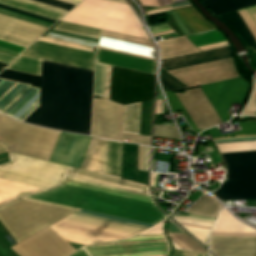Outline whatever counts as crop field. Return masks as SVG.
Segmentation results:
<instances>
[{"label":"crop field","mask_w":256,"mask_h":256,"mask_svg":"<svg viewBox=\"0 0 256 256\" xmlns=\"http://www.w3.org/2000/svg\"><path fill=\"white\" fill-rule=\"evenodd\" d=\"M93 72L42 61L39 107L24 122L89 135Z\"/></svg>","instance_id":"crop-field-1"},{"label":"crop field","mask_w":256,"mask_h":256,"mask_svg":"<svg viewBox=\"0 0 256 256\" xmlns=\"http://www.w3.org/2000/svg\"><path fill=\"white\" fill-rule=\"evenodd\" d=\"M27 197L152 225L167 217L153 204L65 185Z\"/></svg>","instance_id":"crop-field-2"},{"label":"crop field","mask_w":256,"mask_h":256,"mask_svg":"<svg viewBox=\"0 0 256 256\" xmlns=\"http://www.w3.org/2000/svg\"><path fill=\"white\" fill-rule=\"evenodd\" d=\"M152 225L80 210L50 226L65 241L87 245L132 237Z\"/></svg>","instance_id":"crop-field-3"},{"label":"crop field","mask_w":256,"mask_h":256,"mask_svg":"<svg viewBox=\"0 0 256 256\" xmlns=\"http://www.w3.org/2000/svg\"><path fill=\"white\" fill-rule=\"evenodd\" d=\"M77 210L22 197L0 207V221L18 243Z\"/></svg>","instance_id":"crop-field-4"},{"label":"crop field","mask_w":256,"mask_h":256,"mask_svg":"<svg viewBox=\"0 0 256 256\" xmlns=\"http://www.w3.org/2000/svg\"><path fill=\"white\" fill-rule=\"evenodd\" d=\"M61 21L148 40L142 25L125 4L84 0Z\"/></svg>","instance_id":"crop-field-5"},{"label":"crop field","mask_w":256,"mask_h":256,"mask_svg":"<svg viewBox=\"0 0 256 256\" xmlns=\"http://www.w3.org/2000/svg\"><path fill=\"white\" fill-rule=\"evenodd\" d=\"M231 46L191 54L162 61V69H172L201 62L232 56ZM188 87L219 80L236 78L237 72L231 58L201 63L197 65L167 70Z\"/></svg>","instance_id":"crop-field-6"},{"label":"crop field","mask_w":256,"mask_h":256,"mask_svg":"<svg viewBox=\"0 0 256 256\" xmlns=\"http://www.w3.org/2000/svg\"><path fill=\"white\" fill-rule=\"evenodd\" d=\"M52 30L58 31V32H63V33H68V34H73V35H77V36L97 39V40L100 39V36L103 32L101 30L77 26V25L68 24V23H64V22L59 23ZM52 32H49V34L72 38V39L90 42V43H94V44H97L96 42H98L97 40L83 38V39H87V40L96 41V42H92V41H87V40H83V39H78V38H82V37L74 38L77 36L70 37L73 35L65 36L68 34L61 35L63 33L56 34L58 32H56V33H52ZM49 34H46L45 36L54 38V39L67 41V42L76 43V44L86 45V46H90L93 48H95V46H96L94 44L71 40V39L53 36V35H49ZM96 48L156 61V54H155L153 44H151L150 41L143 40V39L133 38V37H129V36H124V35H119V34L104 31Z\"/></svg>","instance_id":"crop-field-7"},{"label":"crop field","mask_w":256,"mask_h":256,"mask_svg":"<svg viewBox=\"0 0 256 256\" xmlns=\"http://www.w3.org/2000/svg\"><path fill=\"white\" fill-rule=\"evenodd\" d=\"M60 133L0 116V139L11 152L48 161Z\"/></svg>","instance_id":"crop-field-8"},{"label":"crop field","mask_w":256,"mask_h":256,"mask_svg":"<svg viewBox=\"0 0 256 256\" xmlns=\"http://www.w3.org/2000/svg\"><path fill=\"white\" fill-rule=\"evenodd\" d=\"M10 162L0 165V177L41 189L60 185L68 166L33 159L9 152Z\"/></svg>","instance_id":"crop-field-9"},{"label":"crop field","mask_w":256,"mask_h":256,"mask_svg":"<svg viewBox=\"0 0 256 256\" xmlns=\"http://www.w3.org/2000/svg\"><path fill=\"white\" fill-rule=\"evenodd\" d=\"M227 181L213 194L222 201L256 199V151L220 154Z\"/></svg>","instance_id":"crop-field-10"},{"label":"crop field","mask_w":256,"mask_h":256,"mask_svg":"<svg viewBox=\"0 0 256 256\" xmlns=\"http://www.w3.org/2000/svg\"><path fill=\"white\" fill-rule=\"evenodd\" d=\"M162 225L163 221L127 240L95 244L83 249L89 256H167L169 247Z\"/></svg>","instance_id":"crop-field-11"},{"label":"crop field","mask_w":256,"mask_h":256,"mask_svg":"<svg viewBox=\"0 0 256 256\" xmlns=\"http://www.w3.org/2000/svg\"><path fill=\"white\" fill-rule=\"evenodd\" d=\"M155 76L112 67L110 101L126 105L153 99Z\"/></svg>","instance_id":"crop-field-12"},{"label":"crop field","mask_w":256,"mask_h":256,"mask_svg":"<svg viewBox=\"0 0 256 256\" xmlns=\"http://www.w3.org/2000/svg\"><path fill=\"white\" fill-rule=\"evenodd\" d=\"M122 112V105L94 99L91 136L109 139H131V142L148 145L150 137L121 133Z\"/></svg>","instance_id":"crop-field-13"},{"label":"crop field","mask_w":256,"mask_h":256,"mask_svg":"<svg viewBox=\"0 0 256 256\" xmlns=\"http://www.w3.org/2000/svg\"><path fill=\"white\" fill-rule=\"evenodd\" d=\"M22 56L44 59L93 71L95 53L36 41Z\"/></svg>","instance_id":"crop-field-14"},{"label":"crop field","mask_w":256,"mask_h":256,"mask_svg":"<svg viewBox=\"0 0 256 256\" xmlns=\"http://www.w3.org/2000/svg\"><path fill=\"white\" fill-rule=\"evenodd\" d=\"M101 139H91L81 169L98 173ZM121 143L102 139L99 173L119 178Z\"/></svg>","instance_id":"crop-field-15"},{"label":"crop field","mask_w":256,"mask_h":256,"mask_svg":"<svg viewBox=\"0 0 256 256\" xmlns=\"http://www.w3.org/2000/svg\"><path fill=\"white\" fill-rule=\"evenodd\" d=\"M47 28L29 24L23 21L12 19L3 15H0V40L11 43L17 46L26 48L41 34H43ZM0 41V47L9 49L15 52L21 53L24 48L17 47L11 44H7ZM0 48V51L18 56L19 53H15L9 50Z\"/></svg>","instance_id":"crop-field-16"},{"label":"crop field","mask_w":256,"mask_h":256,"mask_svg":"<svg viewBox=\"0 0 256 256\" xmlns=\"http://www.w3.org/2000/svg\"><path fill=\"white\" fill-rule=\"evenodd\" d=\"M10 248L19 256H68L75 251L49 227Z\"/></svg>","instance_id":"crop-field-17"},{"label":"crop field","mask_w":256,"mask_h":256,"mask_svg":"<svg viewBox=\"0 0 256 256\" xmlns=\"http://www.w3.org/2000/svg\"><path fill=\"white\" fill-rule=\"evenodd\" d=\"M248 85L241 79L202 86L204 94L222 122L230 120L227 113L233 102L242 103Z\"/></svg>","instance_id":"crop-field-18"},{"label":"crop field","mask_w":256,"mask_h":256,"mask_svg":"<svg viewBox=\"0 0 256 256\" xmlns=\"http://www.w3.org/2000/svg\"><path fill=\"white\" fill-rule=\"evenodd\" d=\"M0 3L4 4V5H7V6H10V7H14V8L23 10V11H27V12H30V13H33V14H36V15H40V16H43V17H46V18H49V19H53V20H56V21H58L65 14L68 13V11H64V10L54 8V7H51V6H48V5H44V4H41V3H38V2H34V1H31V0H0ZM1 4H0V8H2V9L9 10V11H12V12H15V13H19V14L29 16V17H32V18H35V19H39V20H42V21H45V22H49V23H52V24L56 23V21L49 20V19H46V18H43V17H40V16H36V15L30 14V13H27V12H23V11L14 9V8H10V7L1 5ZM2 9H0V13H2V14L12 16V17H15V18H18V19H21V20H24V21H28V22H31V23H34V24H37V25H40V26H44V27H47V28L52 26V24L45 23V22H42V21H39V20H35V19L25 17V16H22V15H19V14H15V13H12V12H9V11H5V10H2Z\"/></svg>","instance_id":"crop-field-19"},{"label":"crop field","mask_w":256,"mask_h":256,"mask_svg":"<svg viewBox=\"0 0 256 256\" xmlns=\"http://www.w3.org/2000/svg\"><path fill=\"white\" fill-rule=\"evenodd\" d=\"M185 92L175 93V95L198 130L222 123L200 88L186 90Z\"/></svg>","instance_id":"crop-field-20"},{"label":"crop field","mask_w":256,"mask_h":256,"mask_svg":"<svg viewBox=\"0 0 256 256\" xmlns=\"http://www.w3.org/2000/svg\"><path fill=\"white\" fill-rule=\"evenodd\" d=\"M152 103L151 101L124 106L122 132L139 134L140 118L142 107V119L140 135L150 136L152 124Z\"/></svg>","instance_id":"crop-field-21"},{"label":"crop field","mask_w":256,"mask_h":256,"mask_svg":"<svg viewBox=\"0 0 256 256\" xmlns=\"http://www.w3.org/2000/svg\"><path fill=\"white\" fill-rule=\"evenodd\" d=\"M250 11L256 20V7L250 8ZM241 13L256 38V24L251 17L248 9L241 10ZM241 13L239 10H237L217 16L218 18L226 22L235 31V33L242 40L246 48L253 47L254 51H256V40L254 39Z\"/></svg>","instance_id":"crop-field-22"},{"label":"crop field","mask_w":256,"mask_h":256,"mask_svg":"<svg viewBox=\"0 0 256 256\" xmlns=\"http://www.w3.org/2000/svg\"><path fill=\"white\" fill-rule=\"evenodd\" d=\"M96 62L155 75L156 62L97 49Z\"/></svg>","instance_id":"crop-field-23"},{"label":"crop field","mask_w":256,"mask_h":256,"mask_svg":"<svg viewBox=\"0 0 256 256\" xmlns=\"http://www.w3.org/2000/svg\"><path fill=\"white\" fill-rule=\"evenodd\" d=\"M213 253L256 254V238L210 237Z\"/></svg>","instance_id":"crop-field-24"},{"label":"crop field","mask_w":256,"mask_h":256,"mask_svg":"<svg viewBox=\"0 0 256 256\" xmlns=\"http://www.w3.org/2000/svg\"><path fill=\"white\" fill-rule=\"evenodd\" d=\"M39 89L29 87L2 113L16 120L23 121L38 107Z\"/></svg>","instance_id":"crop-field-25"},{"label":"crop field","mask_w":256,"mask_h":256,"mask_svg":"<svg viewBox=\"0 0 256 256\" xmlns=\"http://www.w3.org/2000/svg\"><path fill=\"white\" fill-rule=\"evenodd\" d=\"M69 176L77 177L80 179L88 180L91 182L103 184V185H108V186H113V187H118V188H123V189H128V190H133V191H138V192H143V193H149L147 186L93 173V172H88V171H82L77 168H70L69 171Z\"/></svg>","instance_id":"crop-field-26"},{"label":"crop field","mask_w":256,"mask_h":256,"mask_svg":"<svg viewBox=\"0 0 256 256\" xmlns=\"http://www.w3.org/2000/svg\"><path fill=\"white\" fill-rule=\"evenodd\" d=\"M210 236L256 237V231L232 218L223 210Z\"/></svg>","instance_id":"crop-field-27"},{"label":"crop field","mask_w":256,"mask_h":256,"mask_svg":"<svg viewBox=\"0 0 256 256\" xmlns=\"http://www.w3.org/2000/svg\"><path fill=\"white\" fill-rule=\"evenodd\" d=\"M173 219L206 246L205 239L215 221L214 218L189 215L174 216Z\"/></svg>","instance_id":"crop-field-28"},{"label":"crop field","mask_w":256,"mask_h":256,"mask_svg":"<svg viewBox=\"0 0 256 256\" xmlns=\"http://www.w3.org/2000/svg\"><path fill=\"white\" fill-rule=\"evenodd\" d=\"M64 184L154 204L151 196H148V195L123 191V190H119V189H115V188H111V187H107V186H103V185H99V184H95V183H91V182H87V181H83V180H79L71 177H67Z\"/></svg>","instance_id":"crop-field-29"},{"label":"crop field","mask_w":256,"mask_h":256,"mask_svg":"<svg viewBox=\"0 0 256 256\" xmlns=\"http://www.w3.org/2000/svg\"><path fill=\"white\" fill-rule=\"evenodd\" d=\"M157 44L160 49V60L200 51L185 37L164 41Z\"/></svg>","instance_id":"crop-field-30"},{"label":"crop field","mask_w":256,"mask_h":256,"mask_svg":"<svg viewBox=\"0 0 256 256\" xmlns=\"http://www.w3.org/2000/svg\"><path fill=\"white\" fill-rule=\"evenodd\" d=\"M0 191L6 195L10 200L25 196L32 193H38L45 190L37 189L34 187L26 186L23 184L15 183L12 181L0 178ZM0 192V205L9 201V199Z\"/></svg>","instance_id":"crop-field-31"},{"label":"crop field","mask_w":256,"mask_h":256,"mask_svg":"<svg viewBox=\"0 0 256 256\" xmlns=\"http://www.w3.org/2000/svg\"><path fill=\"white\" fill-rule=\"evenodd\" d=\"M186 38H188L202 51L229 45L227 39L223 35H221L217 30L187 36Z\"/></svg>","instance_id":"crop-field-32"},{"label":"crop field","mask_w":256,"mask_h":256,"mask_svg":"<svg viewBox=\"0 0 256 256\" xmlns=\"http://www.w3.org/2000/svg\"><path fill=\"white\" fill-rule=\"evenodd\" d=\"M30 85L0 79V112L13 102Z\"/></svg>","instance_id":"crop-field-33"},{"label":"crop field","mask_w":256,"mask_h":256,"mask_svg":"<svg viewBox=\"0 0 256 256\" xmlns=\"http://www.w3.org/2000/svg\"><path fill=\"white\" fill-rule=\"evenodd\" d=\"M215 142L220 153L256 150V137H238Z\"/></svg>","instance_id":"crop-field-34"},{"label":"crop field","mask_w":256,"mask_h":256,"mask_svg":"<svg viewBox=\"0 0 256 256\" xmlns=\"http://www.w3.org/2000/svg\"><path fill=\"white\" fill-rule=\"evenodd\" d=\"M215 15L256 4V0H204L202 2Z\"/></svg>","instance_id":"crop-field-35"},{"label":"crop field","mask_w":256,"mask_h":256,"mask_svg":"<svg viewBox=\"0 0 256 256\" xmlns=\"http://www.w3.org/2000/svg\"><path fill=\"white\" fill-rule=\"evenodd\" d=\"M222 208L223 206L220 205L217 201L204 194L187 210V213H190L192 215L217 218Z\"/></svg>","instance_id":"crop-field-36"},{"label":"crop field","mask_w":256,"mask_h":256,"mask_svg":"<svg viewBox=\"0 0 256 256\" xmlns=\"http://www.w3.org/2000/svg\"><path fill=\"white\" fill-rule=\"evenodd\" d=\"M175 11L196 33L214 30V28L204 20L192 6L176 9Z\"/></svg>","instance_id":"crop-field-37"},{"label":"crop field","mask_w":256,"mask_h":256,"mask_svg":"<svg viewBox=\"0 0 256 256\" xmlns=\"http://www.w3.org/2000/svg\"><path fill=\"white\" fill-rule=\"evenodd\" d=\"M111 66L96 63L94 94L108 98Z\"/></svg>","instance_id":"crop-field-38"},{"label":"crop field","mask_w":256,"mask_h":256,"mask_svg":"<svg viewBox=\"0 0 256 256\" xmlns=\"http://www.w3.org/2000/svg\"><path fill=\"white\" fill-rule=\"evenodd\" d=\"M174 248L207 253V250L194 241L188 234H168Z\"/></svg>","instance_id":"crop-field-39"},{"label":"crop field","mask_w":256,"mask_h":256,"mask_svg":"<svg viewBox=\"0 0 256 256\" xmlns=\"http://www.w3.org/2000/svg\"><path fill=\"white\" fill-rule=\"evenodd\" d=\"M41 61L19 56L8 69L40 76Z\"/></svg>","instance_id":"crop-field-40"},{"label":"crop field","mask_w":256,"mask_h":256,"mask_svg":"<svg viewBox=\"0 0 256 256\" xmlns=\"http://www.w3.org/2000/svg\"><path fill=\"white\" fill-rule=\"evenodd\" d=\"M0 78L19 81V82H23V83L38 85V86L40 83V77H38V76L25 74V73H21V72H16V71L8 70V69H5L0 74Z\"/></svg>","instance_id":"crop-field-41"},{"label":"crop field","mask_w":256,"mask_h":256,"mask_svg":"<svg viewBox=\"0 0 256 256\" xmlns=\"http://www.w3.org/2000/svg\"><path fill=\"white\" fill-rule=\"evenodd\" d=\"M239 126L241 127V130L234 131L235 133H228V134L220 135V131L216 127L214 129L213 128L210 129L209 131H210L212 138L225 137V136H230V135H256V121L239 123Z\"/></svg>","instance_id":"crop-field-42"},{"label":"crop field","mask_w":256,"mask_h":256,"mask_svg":"<svg viewBox=\"0 0 256 256\" xmlns=\"http://www.w3.org/2000/svg\"><path fill=\"white\" fill-rule=\"evenodd\" d=\"M165 96L167 98L168 104L170 106V109L172 112L174 111H178L181 110L186 122L189 124V126L191 127V129L194 132H198V130L196 129V127L194 126V124L192 123L191 119L189 118V116L187 115V113L185 112V110L183 109V107L181 106V104L179 103L178 99L176 98V96L174 95V93L165 91Z\"/></svg>","instance_id":"crop-field-43"},{"label":"crop field","mask_w":256,"mask_h":256,"mask_svg":"<svg viewBox=\"0 0 256 256\" xmlns=\"http://www.w3.org/2000/svg\"><path fill=\"white\" fill-rule=\"evenodd\" d=\"M153 38L166 36L167 38L178 36V34L167 24H159L148 27Z\"/></svg>","instance_id":"crop-field-44"},{"label":"crop field","mask_w":256,"mask_h":256,"mask_svg":"<svg viewBox=\"0 0 256 256\" xmlns=\"http://www.w3.org/2000/svg\"><path fill=\"white\" fill-rule=\"evenodd\" d=\"M154 136L180 140L175 126L154 125Z\"/></svg>","instance_id":"crop-field-45"},{"label":"crop field","mask_w":256,"mask_h":256,"mask_svg":"<svg viewBox=\"0 0 256 256\" xmlns=\"http://www.w3.org/2000/svg\"><path fill=\"white\" fill-rule=\"evenodd\" d=\"M162 86L168 90L175 91L180 89H185L182 84H180L177 80L171 77L169 74L165 73L164 71L160 75Z\"/></svg>","instance_id":"crop-field-46"},{"label":"crop field","mask_w":256,"mask_h":256,"mask_svg":"<svg viewBox=\"0 0 256 256\" xmlns=\"http://www.w3.org/2000/svg\"><path fill=\"white\" fill-rule=\"evenodd\" d=\"M255 110H256V79H254V90L252 92L250 102L248 103L247 107L243 110L241 115H252ZM253 115L256 116V111L254 112Z\"/></svg>","instance_id":"crop-field-47"},{"label":"crop field","mask_w":256,"mask_h":256,"mask_svg":"<svg viewBox=\"0 0 256 256\" xmlns=\"http://www.w3.org/2000/svg\"><path fill=\"white\" fill-rule=\"evenodd\" d=\"M36 1L48 4V5H51V6H55V7L61 8V9H65V10H68V11H70L76 5V4L72 5L74 3L69 4L71 2L65 3V2H68V1L62 2L64 0H62V1H59V0H36Z\"/></svg>","instance_id":"crop-field-48"},{"label":"crop field","mask_w":256,"mask_h":256,"mask_svg":"<svg viewBox=\"0 0 256 256\" xmlns=\"http://www.w3.org/2000/svg\"><path fill=\"white\" fill-rule=\"evenodd\" d=\"M38 40L39 41H44V42H49V43H54V44H59V45H64V46H68V47H73V48H78V49L92 51V48H89V47L80 46V45H76V44H72V43H67V42H62V41L53 40V39H48V38H44V37H41Z\"/></svg>","instance_id":"crop-field-49"},{"label":"crop field","mask_w":256,"mask_h":256,"mask_svg":"<svg viewBox=\"0 0 256 256\" xmlns=\"http://www.w3.org/2000/svg\"><path fill=\"white\" fill-rule=\"evenodd\" d=\"M14 58H16V56L0 52V62L9 64ZM4 63H0V71L7 66V64Z\"/></svg>","instance_id":"crop-field-50"},{"label":"crop field","mask_w":256,"mask_h":256,"mask_svg":"<svg viewBox=\"0 0 256 256\" xmlns=\"http://www.w3.org/2000/svg\"><path fill=\"white\" fill-rule=\"evenodd\" d=\"M189 5H190V4H189L188 2L180 3V4H176V5H171V7H168V8H163V9L148 11V12H146V14L149 15V14L164 12V11H168V10H172V9H176V8H180V7H185V6H189Z\"/></svg>","instance_id":"crop-field-51"},{"label":"crop field","mask_w":256,"mask_h":256,"mask_svg":"<svg viewBox=\"0 0 256 256\" xmlns=\"http://www.w3.org/2000/svg\"><path fill=\"white\" fill-rule=\"evenodd\" d=\"M172 256H207V254L173 250Z\"/></svg>","instance_id":"crop-field-52"},{"label":"crop field","mask_w":256,"mask_h":256,"mask_svg":"<svg viewBox=\"0 0 256 256\" xmlns=\"http://www.w3.org/2000/svg\"><path fill=\"white\" fill-rule=\"evenodd\" d=\"M187 0H151L153 6H164L176 2H182Z\"/></svg>","instance_id":"crop-field-53"},{"label":"crop field","mask_w":256,"mask_h":256,"mask_svg":"<svg viewBox=\"0 0 256 256\" xmlns=\"http://www.w3.org/2000/svg\"><path fill=\"white\" fill-rule=\"evenodd\" d=\"M143 146L138 145V169L142 170Z\"/></svg>","instance_id":"crop-field-54"},{"label":"crop field","mask_w":256,"mask_h":256,"mask_svg":"<svg viewBox=\"0 0 256 256\" xmlns=\"http://www.w3.org/2000/svg\"><path fill=\"white\" fill-rule=\"evenodd\" d=\"M159 175L160 174L150 173V186H157Z\"/></svg>","instance_id":"crop-field-55"},{"label":"crop field","mask_w":256,"mask_h":256,"mask_svg":"<svg viewBox=\"0 0 256 256\" xmlns=\"http://www.w3.org/2000/svg\"><path fill=\"white\" fill-rule=\"evenodd\" d=\"M217 256H256V255H245V254H216Z\"/></svg>","instance_id":"crop-field-56"},{"label":"crop field","mask_w":256,"mask_h":256,"mask_svg":"<svg viewBox=\"0 0 256 256\" xmlns=\"http://www.w3.org/2000/svg\"><path fill=\"white\" fill-rule=\"evenodd\" d=\"M71 256H87L84 251L81 249L79 251H77L76 253H74L73 255Z\"/></svg>","instance_id":"crop-field-57"},{"label":"crop field","mask_w":256,"mask_h":256,"mask_svg":"<svg viewBox=\"0 0 256 256\" xmlns=\"http://www.w3.org/2000/svg\"><path fill=\"white\" fill-rule=\"evenodd\" d=\"M7 150H8L7 146L2 144V143H0V152L7 151Z\"/></svg>","instance_id":"crop-field-58"},{"label":"crop field","mask_w":256,"mask_h":256,"mask_svg":"<svg viewBox=\"0 0 256 256\" xmlns=\"http://www.w3.org/2000/svg\"><path fill=\"white\" fill-rule=\"evenodd\" d=\"M157 160H153L152 171L154 172Z\"/></svg>","instance_id":"crop-field-59"},{"label":"crop field","mask_w":256,"mask_h":256,"mask_svg":"<svg viewBox=\"0 0 256 256\" xmlns=\"http://www.w3.org/2000/svg\"><path fill=\"white\" fill-rule=\"evenodd\" d=\"M68 1H72V2H75V3H79L81 0H68Z\"/></svg>","instance_id":"crop-field-60"},{"label":"crop field","mask_w":256,"mask_h":256,"mask_svg":"<svg viewBox=\"0 0 256 256\" xmlns=\"http://www.w3.org/2000/svg\"><path fill=\"white\" fill-rule=\"evenodd\" d=\"M210 256H212V255L210 254Z\"/></svg>","instance_id":"crop-field-61"}]
</instances>
